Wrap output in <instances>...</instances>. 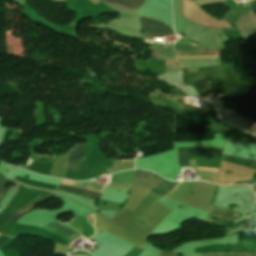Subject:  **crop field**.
Returning <instances> with one entry per match:
<instances>
[{"label": "crop field", "mask_w": 256, "mask_h": 256, "mask_svg": "<svg viewBox=\"0 0 256 256\" xmlns=\"http://www.w3.org/2000/svg\"><path fill=\"white\" fill-rule=\"evenodd\" d=\"M63 183H69L73 184L71 181H65L62 180ZM59 190L77 194V195H82V196H87V197H92V198H98L101 194L102 187L93 185V184H85V183H76L74 182L73 185H68V184H60Z\"/></svg>", "instance_id": "8a807250"}, {"label": "crop field", "mask_w": 256, "mask_h": 256, "mask_svg": "<svg viewBox=\"0 0 256 256\" xmlns=\"http://www.w3.org/2000/svg\"><path fill=\"white\" fill-rule=\"evenodd\" d=\"M141 29L148 31L146 38H160L166 36L167 25L145 16L139 18ZM175 35L173 30L168 27L167 36Z\"/></svg>", "instance_id": "ac0d7876"}, {"label": "crop field", "mask_w": 256, "mask_h": 256, "mask_svg": "<svg viewBox=\"0 0 256 256\" xmlns=\"http://www.w3.org/2000/svg\"><path fill=\"white\" fill-rule=\"evenodd\" d=\"M223 149L190 148V156H221ZM179 166L188 167L189 148H178Z\"/></svg>", "instance_id": "34b2d1b8"}, {"label": "crop field", "mask_w": 256, "mask_h": 256, "mask_svg": "<svg viewBox=\"0 0 256 256\" xmlns=\"http://www.w3.org/2000/svg\"><path fill=\"white\" fill-rule=\"evenodd\" d=\"M177 52H181L183 56H200V55H219L221 50H208L202 49L197 46L193 45H183V44H176ZM178 58H188V57H180L178 53ZM201 57H209V56H201Z\"/></svg>", "instance_id": "412701ff"}, {"label": "crop field", "mask_w": 256, "mask_h": 256, "mask_svg": "<svg viewBox=\"0 0 256 256\" xmlns=\"http://www.w3.org/2000/svg\"><path fill=\"white\" fill-rule=\"evenodd\" d=\"M84 145L75 147L69 152L67 171H78L80 161L84 158Z\"/></svg>", "instance_id": "f4fd0767"}, {"label": "crop field", "mask_w": 256, "mask_h": 256, "mask_svg": "<svg viewBox=\"0 0 256 256\" xmlns=\"http://www.w3.org/2000/svg\"><path fill=\"white\" fill-rule=\"evenodd\" d=\"M49 226L55 228L56 230L62 232L63 234H65V235H67L69 237H72L73 235H77L78 234V233H75L74 231H72L71 229L66 228V227H64V226H62V225H60V224H58L56 222H53V223L49 224ZM49 226L46 225V226L43 227V229H45V230L55 234L56 236L64 239L65 241L68 240V239H71V238L63 235L62 233L56 231L55 229H53V228H51Z\"/></svg>", "instance_id": "dd49c442"}, {"label": "crop field", "mask_w": 256, "mask_h": 256, "mask_svg": "<svg viewBox=\"0 0 256 256\" xmlns=\"http://www.w3.org/2000/svg\"><path fill=\"white\" fill-rule=\"evenodd\" d=\"M209 214H213V215H219L222 216V219L220 220H212V219H208L207 222H213V221H228L230 219H233L235 217H237V215H239L238 213H234L228 210H224V209H220V208H216V207H211Z\"/></svg>", "instance_id": "e52e79f7"}, {"label": "crop field", "mask_w": 256, "mask_h": 256, "mask_svg": "<svg viewBox=\"0 0 256 256\" xmlns=\"http://www.w3.org/2000/svg\"><path fill=\"white\" fill-rule=\"evenodd\" d=\"M108 3L122 4L130 9L138 10L145 0H103Z\"/></svg>", "instance_id": "d8731c3e"}, {"label": "crop field", "mask_w": 256, "mask_h": 256, "mask_svg": "<svg viewBox=\"0 0 256 256\" xmlns=\"http://www.w3.org/2000/svg\"><path fill=\"white\" fill-rule=\"evenodd\" d=\"M179 182H167L165 180L156 188L157 190L152 191L162 196L172 191Z\"/></svg>", "instance_id": "5a996713"}, {"label": "crop field", "mask_w": 256, "mask_h": 256, "mask_svg": "<svg viewBox=\"0 0 256 256\" xmlns=\"http://www.w3.org/2000/svg\"><path fill=\"white\" fill-rule=\"evenodd\" d=\"M222 160L256 170V163L255 162L242 160V159H238V158H233V157H229V156H225V155H223Z\"/></svg>", "instance_id": "3316defc"}, {"label": "crop field", "mask_w": 256, "mask_h": 256, "mask_svg": "<svg viewBox=\"0 0 256 256\" xmlns=\"http://www.w3.org/2000/svg\"><path fill=\"white\" fill-rule=\"evenodd\" d=\"M200 256H256V253H201Z\"/></svg>", "instance_id": "28ad6ade"}, {"label": "crop field", "mask_w": 256, "mask_h": 256, "mask_svg": "<svg viewBox=\"0 0 256 256\" xmlns=\"http://www.w3.org/2000/svg\"><path fill=\"white\" fill-rule=\"evenodd\" d=\"M196 3L190 0H181V13L182 18L187 14V12L195 5Z\"/></svg>", "instance_id": "d1516ede"}, {"label": "crop field", "mask_w": 256, "mask_h": 256, "mask_svg": "<svg viewBox=\"0 0 256 256\" xmlns=\"http://www.w3.org/2000/svg\"><path fill=\"white\" fill-rule=\"evenodd\" d=\"M251 216V215H250ZM250 216L248 217V218H250ZM247 218V219H248ZM245 219V220H243V221H240V222H238V223H235L234 224V226H232V227H230V228H226V231H228V230H231V229H234V228H237V227H239V226H242V225H245V224H248V223H251L255 228H256V217H253V216H251V218L250 219Z\"/></svg>", "instance_id": "22f410ed"}, {"label": "crop field", "mask_w": 256, "mask_h": 256, "mask_svg": "<svg viewBox=\"0 0 256 256\" xmlns=\"http://www.w3.org/2000/svg\"><path fill=\"white\" fill-rule=\"evenodd\" d=\"M142 249H139L137 247L130 250L125 256H138L141 253Z\"/></svg>", "instance_id": "cbeb9de0"}, {"label": "crop field", "mask_w": 256, "mask_h": 256, "mask_svg": "<svg viewBox=\"0 0 256 256\" xmlns=\"http://www.w3.org/2000/svg\"><path fill=\"white\" fill-rule=\"evenodd\" d=\"M196 170H205V171H215V172H219V169H205V168H198V167H196Z\"/></svg>", "instance_id": "5142ce71"}, {"label": "crop field", "mask_w": 256, "mask_h": 256, "mask_svg": "<svg viewBox=\"0 0 256 256\" xmlns=\"http://www.w3.org/2000/svg\"><path fill=\"white\" fill-rule=\"evenodd\" d=\"M9 240V237H5L2 241H0V246H2L4 243H6Z\"/></svg>", "instance_id": "d9b57169"}, {"label": "crop field", "mask_w": 256, "mask_h": 256, "mask_svg": "<svg viewBox=\"0 0 256 256\" xmlns=\"http://www.w3.org/2000/svg\"><path fill=\"white\" fill-rule=\"evenodd\" d=\"M251 7H252L254 13L256 14V5H253V6H251Z\"/></svg>", "instance_id": "733c2abd"}, {"label": "crop field", "mask_w": 256, "mask_h": 256, "mask_svg": "<svg viewBox=\"0 0 256 256\" xmlns=\"http://www.w3.org/2000/svg\"><path fill=\"white\" fill-rule=\"evenodd\" d=\"M2 192H3V189H0V196H1Z\"/></svg>", "instance_id": "4a817a6b"}, {"label": "crop field", "mask_w": 256, "mask_h": 256, "mask_svg": "<svg viewBox=\"0 0 256 256\" xmlns=\"http://www.w3.org/2000/svg\"><path fill=\"white\" fill-rule=\"evenodd\" d=\"M2 230H3V228H2V227H0V233L2 232Z\"/></svg>", "instance_id": "bc2a9ffb"}]
</instances>
